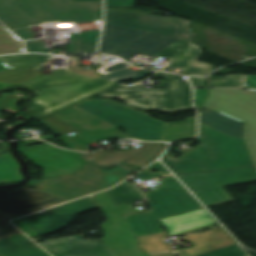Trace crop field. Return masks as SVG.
I'll use <instances>...</instances> for the list:
<instances>
[{"mask_svg":"<svg viewBox=\"0 0 256 256\" xmlns=\"http://www.w3.org/2000/svg\"><path fill=\"white\" fill-rule=\"evenodd\" d=\"M50 57L37 54L0 57L9 67L15 68L0 72V89L11 85L33 88L38 96L30 101L28 107L35 119L116 86L103 77L92 76L96 70L80 71L81 67L76 66V59H71L65 70H56L51 75L41 76L38 70L48 64Z\"/></svg>","mask_w":256,"mask_h":256,"instance_id":"crop-field-1","label":"crop field"},{"mask_svg":"<svg viewBox=\"0 0 256 256\" xmlns=\"http://www.w3.org/2000/svg\"><path fill=\"white\" fill-rule=\"evenodd\" d=\"M18 151L33 165L44 168L43 179L30 181L28 185L70 200L107 189L138 171L130 165L106 171L83 162L75 152L48 143Z\"/></svg>","mask_w":256,"mask_h":256,"instance_id":"crop-field-2","label":"crop field"},{"mask_svg":"<svg viewBox=\"0 0 256 256\" xmlns=\"http://www.w3.org/2000/svg\"><path fill=\"white\" fill-rule=\"evenodd\" d=\"M102 20V2L72 0H0V21L23 39L34 38L31 26L70 24Z\"/></svg>","mask_w":256,"mask_h":256,"instance_id":"crop-field-3","label":"crop field"},{"mask_svg":"<svg viewBox=\"0 0 256 256\" xmlns=\"http://www.w3.org/2000/svg\"><path fill=\"white\" fill-rule=\"evenodd\" d=\"M198 140L201 146L177 159H174L167 150L162 161L175 174L254 165L243 138L232 137L200 123Z\"/></svg>","mask_w":256,"mask_h":256,"instance_id":"crop-field-4","label":"crop field"},{"mask_svg":"<svg viewBox=\"0 0 256 256\" xmlns=\"http://www.w3.org/2000/svg\"><path fill=\"white\" fill-rule=\"evenodd\" d=\"M160 182L158 189L144 193L152 211L124 216L136 237L164 233L157 219L203 208L173 176Z\"/></svg>","mask_w":256,"mask_h":256,"instance_id":"crop-field-5","label":"crop field"},{"mask_svg":"<svg viewBox=\"0 0 256 256\" xmlns=\"http://www.w3.org/2000/svg\"><path fill=\"white\" fill-rule=\"evenodd\" d=\"M153 76L164 78L168 89H144L121 85L98 95L119 99L125 104L143 111L154 110L169 113L193 109L189 84L183 82L181 76L161 72Z\"/></svg>","mask_w":256,"mask_h":256,"instance_id":"crop-field-6","label":"crop field"},{"mask_svg":"<svg viewBox=\"0 0 256 256\" xmlns=\"http://www.w3.org/2000/svg\"><path fill=\"white\" fill-rule=\"evenodd\" d=\"M73 108L88 112L111 126L124 127L127 135L143 141H164L167 124L147 117L128 106L119 105L109 99L81 102Z\"/></svg>","mask_w":256,"mask_h":256,"instance_id":"crop-field-7","label":"crop field"},{"mask_svg":"<svg viewBox=\"0 0 256 256\" xmlns=\"http://www.w3.org/2000/svg\"><path fill=\"white\" fill-rule=\"evenodd\" d=\"M204 107L245 123L244 138L256 166V90L210 89L199 109Z\"/></svg>","mask_w":256,"mask_h":256,"instance_id":"crop-field-8","label":"crop field"},{"mask_svg":"<svg viewBox=\"0 0 256 256\" xmlns=\"http://www.w3.org/2000/svg\"><path fill=\"white\" fill-rule=\"evenodd\" d=\"M94 198L108 219L100 224L105 235L99 241L117 256H146L136 247L139 243L122 216L145 209L137 210L129 204L115 206L107 191L94 195Z\"/></svg>","mask_w":256,"mask_h":256,"instance_id":"crop-field-9","label":"crop field"},{"mask_svg":"<svg viewBox=\"0 0 256 256\" xmlns=\"http://www.w3.org/2000/svg\"><path fill=\"white\" fill-rule=\"evenodd\" d=\"M177 176L206 207H209L232 202L222 187L256 181V169L247 167Z\"/></svg>","mask_w":256,"mask_h":256,"instance_id":"crop-field-10","label":"crop field"},{"mask_svg":"<svg viewBox=\"0 0 256 256\" xmlns=\"http://www.w3.org/2000/svg\"><path fill=\"white\" fill-rule=\"evenodd\" d=\"M168 234L147 236L138 238L140 244L137 247L148 256H196L219 248L236 244V242L222 228H215L209 231L188 236L183 241L193 244L187 249L171 251L161 237Z\"/></svg>","mask_w":256,"mask_h":256,"instance_id":"crop-field-11","label":"crop field"},{"mask_svg":"<svg viewBox=\"0 0 256 256\" xmlns=\"http://www.w3.org/2000/svg\"><path fill=\"white\" fill-rule=\"evenodd\" d=\"M188 20L133 14L106 10L105 23L144 29L157 33L173 35L184 40H191V33L186 32Z\"/></svg>","mask_w":256,"mask_h":256,"instance_id":"crop-field-12","label":"crop field"},{"mask_svg":"<svg viewBox=\"0 0 256 256\" xmlns=\"http://www.w3.org/2000/svg\"><path fill=\"white\" fill-rule=\"evenodd\" d=\"M91 196L21 218L40 236L68 226L81 212L96 209Z\"/></svg>","mask_w":256,"mask_h":256,"instance_id":"crop-field-13","label":"crop field"},{"mask_svg":"<svg viewBox=\"0 0 256 256\" xmlns=\"http://www.w3.org/2000/svg\"><path fill=\"white\" fill-rule=\"evenodd\" d=\"M66 201L29 186L0 190V211L19 217Z\"/></svg>","mask_w":256,"mask_h":256,"instance_id":"crop-field-14","label":"crop field"},{"mask_svg":"<svg viewBox=\"0 0 256 256\" xmlns=\"http://www.w3.org/2000/svg\"><path fill=\"white\" fill-rule=\"evenodd\" d=\"M166 147V143H141L138 149H126L119 154L101 150L88 155L78 154V156L90 165L107 170L116 165L115 163L131 164L141 169L156 160Z\"/></svg>","mask_w":256,"mask_h":256,"instance_id":"crop-field-15","label":"crop field"},{"mask_svg":"<svg viewBox=\"0 0 256 256\" xmlns=\"http://www.w3.org/2000/svg\"><path fill=\"white\" fill-rule=\"evenodd\" d=\"M201 50L202 49L180 39L157 54L156 57L161 56L171 60V63L164 67L163 71H166L167 68L170 67L172 69L169 72L178 68L181 69L179 71L180 74L205 76L211 73L214 68L212 65L196 61L202 54V52H200Z\"/></svg>","mask_w":256,"mask_h":256,"instance_id":"crop-field-16","label":"crop field"},{"mask_svg":"<svg viewBox=\"0 0 256 256\" xmlns=\"http://www.w3.org/2000/svg\"><path fill=\"white\" fill-rule=\"evenodd\" d=\"M83 235L49 239L38 243L54 256H116L98 240L82 239Z\"/></svg>","mask_w":256,"mask_h":256,"instance_id":"crop-field-17","label":"crop field"},{"mask_svg":"<svg viewBox=\"0 0 256 256\" xmlns=\"http://www.w3.org/2000/svg\"><path fill=\"white\" fill-rule=\"evenodd\" d=\"M178 39L173 36L150 32L112 55L130 62L132 61L130 58L137 52L154 56Z\"/></svg>","mask_w":256,"mask_h":256,"instance_id":"crop-field-18","label":"crop field"},{"mask_svg":"<svg viewBox=\"0 0 256 256\" xmlns=\"http://www.w3.org/2000/svg\"><path fill=\"white\" fill-rule=\"evenodd\" d=\"M146 33L148 31L105 24L99 52L111 54Z\"/></svg>","mask_w":256,"mask_h":256,"instance_id":"crop-field-19","label":"crop field"},{"mask_svg":"<svg viewBox=\"0 0 256 256\" xmlns=\"http://www.w3.org/2000/svg\"><path fill=\"white\" fill-rule=\"evenodd\" d=\"M160 222L167 229L169 235L217 223V221L205 209L182 214L176 217L161 219Z\"/></svg>","mask_w":256,"mask_h":256,"instance_id":"crop-field-20","label":"crop field"},{"mask_svg":"<svg viewBox=\"0 0 256 256\" xmlns=\"http://www.w3.org/2000/svg\"><path fill=\"white\" fill-rule=\"evenodd\" d=\"M0 256H49L33 241L20 233L0 240Z\"/></svg>","mask_w":256,"mask_h":256,"instance_id":"crop-field-21","label":"crop field"},{"mask_svg":"<svg viewBox=\"0 0 256 256\" xmlns=\"http://www.w3.org/2000/svg\"><path fill=\"white\" fill-rule=\"evenodd\" d=\"M200 122L232 136L243 137V123L210 109L200 112Z\"/></svg>","mask_w":256,"mask_h":256,"instance_id":"crop-field-22","label":"crop field"},{"mask_svg":"<svg viewBox=\"0 0 256 256\" xmlns=\"http://www.w3.org/2000/svg\"><path fill=\"white\" fill-rule=\"evenodd\" d=\"M100 31H91L70 35L71 43L68 45L67 54L95 52Z\"/></svg>","mask_w":256,"mask_h":256,"instance_id":"crop-field-23","label":"crop field"},{"mask_svg":"<svg viewBox=\"0 0 256 256\" xmlns=\"http://www.w3.org/2000/svg\"><path fill=\"white\" fill-rule=\"evenodd\" d=\"M6 155L0 156V182H15L22 179L17 162L8 154V144H1Z\"/></svg>","mask_w":256,"mask_h":256,"instance_id":"crop-field-24","label":"crop field"},{"mask_svg":"<svg viewBox=\"0 0 256 256\" xmlns=\"http://www.w3.org/2000/svg\"><path fill=\"white\" fill-rule=\"evenodd\" d=\"M115 205L144 199L143 195L130 183L124 181L117 187L108 190Z\"/></svg>","mask_w":256,"mask_h":256,"instance_id":"crop-field-25","label":"crop field"},{"mask_svg":"<svg viewBox=\"0 0 256 256\" xmlns=\"http://www.w3.org/2000/svg\"><path fill=\"white\" fill-rule=\"evenodd\" d=\"M19 52H24L21 40L0 25V55Z\"/></svg>","mask_w":256,"mask_h":256,"instance_id":"crop-field-26","label":"crop field"},{"mask_svg":"<svg viewBox=\"0 0 256 256\" xmlns=\"http://www.w3.org/2000/svg\"><path fill=\"white\" fill-rule=\"evenodd\" d=\"M246 75L210 76L208 87L244 88Z\"/></svg>","mask_w":256,"mask_h":256,"instance_id":"crop-field-27","label":"crop field"},{"mask_svg":"<svg viewBox=\"0 0 256 256\" xmlns=\"http://www.w3.org/2000/svg\"><path fill=\"white\" fill-rule=\"evenodd\" d=\"M151 72L152 71H148V70L137 71L131 68H127V69L112 72L103 77L118 85L120 82L124 80L139 79L149 75Z\"/></svg>","mask_w":256,"mask_h":256,"instance_id":"crop-field-28","label":"crop field"},{"mask_svg":"<svg viewBox=\"0 0 256 256\" xmlns=\"http://www.w3.org/2000/svg\"><path fill=\"white\" fill-rule=\"evenodd\" d=\"M14 218L16 217L11 216L8 213L0 212V239L20 233L19 230L8 222V220Z\"/></svg>","mask_w":256,"mask_h":256,"instance_id":"crop-field-29","label":"crop field"},{"mask_svg":"<svg viewBox=\"0 0 256 256\" xmlns=\"http://www.w3.org/2000/svg\"><path fill=\"white\" fill-rule=\"evenodd\" d=\"M200 256H248L238 244L229 246L223 249H219L210 253H206Z\"/></svg>","mask_w":256,"mask_h":256,"instance_id":"crop-field-30","label":"crop field"},{"mask_svg":"<svg viewBox=\"0 0 256 256\" xmlns=\"http://www.w3.org/2000/svg\"><path fill=\"white\" fill-rule=\"evenodd\" d=\"M152 169H157L160 172L159 173H153V172L150 171ZM165 174H169V172L166 170V168L160 162H156L155 164L151 165L150 167H148V168L144 169L143 171H141L140 173L136 174L135 177L144 181L146 179L161 176V175H165Z\"/></svg>","mask_w":256,"mask_h":256,"instance_id":"crop-field-31","label":"crop field"},{"mask_svg":"<svg viewBox=\"0 0 256 256\" xmlns=\"http://www.w3.org/2000/svg\"><path fill=\"white\" fill-rule=\"evenodd\" d=\"M127 67H131V66L118 59V60L110 63L109 65L105 66L104 68H102L98 71H100L104 74H107V73H110L112 71L127 68Z\"/></svg>","mask_w":256,"mask_h":256,"instance_id":"crop-field-32","label":"crop field"},{"mask_svg":"<svg viewBox=\"0 0 256 256\" xmlns=\"http://www.w3.org/2000/svg\"><path fill=\"white\" fill-rule=\"evenodd\" d=\"M28 52H43L48 53L50 51L49 48H44L43 42L39 40L26 42Z\"/></svg>","mask_w":256,"mask_h":256,"instance_id":"crop-field-33","label":"crop field"},{"mask_svg":"<svg viewBox=\"0 0 256 256\" xmlns=\"http://www.w3.org/2000/svg\"><path fill=\"white\" fill-rule=\"evenodd\" d=\"M136 0H105V7L134 6Z\"/></svg>","mask_w":256,"mask_h":256,"instance_id":"crop-field-34","label":"crop field"},{"mask_svg":"<svg viewBox=\"0 0 256 256\" xmlns=\"http://www.w3.org/2000/svg\"><path fill=\"white\" fill-rule=\"evenodd\" d=\"M13 224H15L17 227H19L23 232H25L30 237L38 235L31 228H29L24 222H22L20 219L14 220Z\"/></svg>","mask_w":256,"mask_h":256,"instance_id":"crop-field-35","label":"crop field"},{"mask_svg":"<svg viewBox=\"0 0 256 256\" xmlns=\"http://www.w3.org/2000/svg\"><path fill=\"white\" fill-rule=\"evenodd\" d=\"M208 95L207 89H195V106L198 107Z\"/></svg>","mask_w":256,"mask_h":256,"instance_id":"crop-field-36","label":"crop field"},{"mask_svg":"<svg viewBox=\"0 0 256 256\" xmlns=\"http://www.w3.org/2000/svg\"><path fill=\"white\" fill-rule=\"evenodd\" d=\"M194 87H206L207 78L189 77Z\"/></svg>","mask_w":256,"mask_h":256,"instance_id":"crop-field-37","label":"crop field"},{"mask_svg":"<svg viewBox=\"0 0 256 256\" xmlns=\"http://www.w3.org/2000/svg\"><path fill=\"white\" fill-rule=\"evenodd\" d=\"M245 88H256V76L247 75Z\"/></svg>","mask_w":256,"mask_h":256,"instance_id":"crop-field-38","label":"crop field"},{"mask_svg":"<svg viewBox=\"0 0 256 256\" xmlns=\"http://www.w3.org/2000/svg\"><path fill=\"white\" fill-rule=\"evenodd\" d=\"M218 225H220V224L217 223V224H213V225H209V226H205V227H201V228H197V229L181 232V233H178V235L181 236V235L193 233V232H196V231L204 230V229H207V228L215 227V226H218Z\"/></svg>","mask_w":256,"mask_h":256,"instance_id":"crop-field-39","label":"crop field"},{"mask_svg":"<svg viewBox=\"0 0 256 256\" xmlns=\"http://www.w3.org/2000/svg\"><path fill=\"white\" fill-rule=\"evenodd\" d=\"M8 68L9 67L0 59V71Z\"/></svg>","mask_w":256,"mask_h":256,"instance_id":"crop-field-40","label":"crop field"},{"mask_svg":"<svg viewBox=\"0 0 256 256\" xmlns=\"http://www.w3.org/2000/svg\"><path fill=\"white\" fill-rule=\"evenodd\" d=\"M74 2H82V1H102V0H73Z\"/></svg>","mask_w":256,"mask_h":256,"instance_id":"crop-field-41","label":"crop field"},{"mask_svg":"<svg viewBox=\"0 0 256 256\" xmlns=\"http://www.w3.org/2000/svg\"><path fill=\"white\" fill-rule=\"evenodd\" d=\"M93 75L96 76V77H100L97 73H94Z\"/></svg>","mask_w":256,"mask_h":256,"instance_id":"crop-field-42","label":"crop field"}]
</instances>
